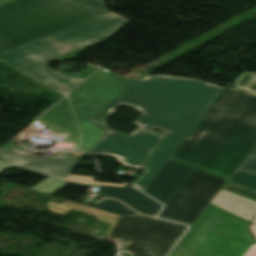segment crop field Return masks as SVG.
Listing matches in <instances>:
<instances>
[{
    "mask_svg": "<svg viewBox=\"0 0 256 256\" xmlns=\"http://www.w3.org/2000/svg\"><path fill=\"white\" fill-rule=\"evenodd\" d=\"M220 89L198 80L159 75L133 79L120 96L88 119L106 132L88 154L114 156L125 166L140 168L162 139L152 129L168 131L142 166L145 171L132 182V186L144 191ZM120 104L142 112L133 122L138 130L129 136L109 128L105 122Z\"/></svg>",
    "mask_w": 256,
    "mask_h": 256,
    "instance_id": "8a807250",
    "label": "crop field"
},
{
    "mask_svg": "<svg viewBox=\"0 0 256 256\" xmlns=\"http://www.w3.org/2000/svg\"><path fill=\"white\" fill-rule=\"evenodd\" d=\"M256 145V95L225 87L170 159L230 178Z\"/></svg>",
    "mask_w": 256,
    "mask_h": 256,
    "instance_id": "ac0d7876",
    "label": "crop field"
},
{
    "mask_svg": "<svg viewBox=\"0 0 256 256\" xmlns=\"http://www.w3.org/2000/svg\"><path fill=\"white\" fill-rule=\"evenodd\" d=\"M102 0H15L0 6V54L106 14Z\"/></svg>",
    "mask_w": 256,
    "mask_h": 256,
    "instance_id": "34b2d1b8",
    "label": "crop field"
},
{
    "mask_svg": "<svg viewBox=\"0 0 256 256\" xmlns=\"http://www.w3.org/2000/svg\"><path fill=\"white\" fill-rule=\"evenodd\" d=\"M126 20L108 13L0 55V60L67 94L82 80L64 78L44 63L105 40Z\"/></svg>",
    "mask_w": 256,
    "mask_h": 256,
    "instance_id": "412701ff",
    "label": "crop field"
},
{
    "mask_svg": "<svg viewBox=\"0 0 256 256\" xmlns=\"http://www.w3.org/2000/svg\"><path fill=\"white\" fill-rule=\"evenodd\" d=\"M128 81L100 69L60 103L40 116L36 125L48 126L52 130L70 134L69 139L79 140L77 149L88 153L105 132L87 119L121 94Z\"/></svg>",
    "mask_w": 256,
    "mask_h": 256,
    "instance_id": "f4fd0767",
    "label": "crop field"
},
{
    "mask_svg": "<svg viewBox=\"0 0 256 256\" xmlns=\"http://www.w3.org/2000/svg\"><path fill=\"white\" fill-rule=\"evenodd\" d=\"M248 223L209 203L168 256H256Z\"/></svg>",
    "mask_w": 256,
    "mask_h": 256,
    "instance_id": "dd49c442",
    "label": "crop field"
},
{
    "mask_svg": "<svg viewBox=\"0 0 256 256\" xmlns=\"http://www.w3.org/2000/svg\"><path fill=\"white\" fill-rule=\"evenodd\" d=\"M106 237L129 241L123 248L137 256H164L187 226L141 215H116Z\"/></svg>",
    "mask_w": 256,
    "mask_h": 256,
    "instance_id": "e52e79f7",
    "label": "crop field"
},
{
    "mask_svg": "<svg viewBox=\"0 0 256 256\" xmlns=\"http://www.w3.org/2000/svg\"><path fill=\"white\" fill-rule=\"evenodd\" d=\"M226 180L195 169L158 217L193 225Z\"/></svg>",
    "mask_w": 256,
    "mask_h": 256,
    "instance_id": "d8731c3e",
    "label": "crop field"
},
{
    "mask_svg": "<svg viewBox=\"0 0 256 256\" xmlns=\"http://www.w3.org/2000/svg\"><path fill=\"white\" fill-rule=\"evenodd\" d=\"M79 158L60 153L48 160L34 159L0 148V162L18 166L65 181Z\"/></svg>",
    "mask_w": 256,
    "mask_h": 256,
    "instance_id": "5a996713",
    "label": "crop field"
},
{
    "mask_svg": "<svg viewBox=\"0 0 256 256\" xmlns=\"http://www.w3.org/2000/svg\"><path fill=\"white\" fill-rule=\"evenodd\" d=\"M193 170L194 168L168 159L144 192L165 205Z\"/></svg>",
    "mask_w": 256,
    "mask_h": 256,
    "instance_id": "3316defc",
    "label": "crop field"
},
{
    "mask_svg": "<svg viewBox=\"0 0 256 256\" xmlns=\"http://www.w3.org/2000/svg\"><path fill=\"white\" fill-rule=\"evenodd\" d=\"M85 186H94L99 187L97 193L102 197L116 198L131 208L137 210L139 213L148 214L154 216L159 209L162 207L159 203L149 199L142 193L138 192L135 189L130 188H118L102 185H92V184H81Z\"/></svg>",
    "mask_w": 256,
    "mask_h": 256,
    "instance_id": "28ad6ade",
    "label": "crop field"
},
{
    "mask_svg": "<svg viewBox=\"0 0 256 256\" xmlns=\"http://www.w3.org/2000/svg\"><path fill=\"white\" fill-rule=\"evenodd\" d=\"M211 203L230 211L248 221L256 213V202L220 190Z\"/></svg>",
    "mask_w": 256,
    "mask_h": 256,
    "instance_id": "d1516ede",
    "label": "crop field"
},
{
    "mask_svg": "<svg viewBox=\"0 0 256 256\" xmlns=\"http://www.w3.org/2000/svg\"><path fill=\"white\" fill-rule=\"evenodd\" d=\"M77 209L92 215L97 216V220L98 221H102V222H106V223H110V221L114 218V214L108 213V212H104L98 209H95L93 207H89V206H85L82 204H78V203H74V202H70V201H65L62 204L59 203H53L50 202L48 203V209L51 212L54 213H58V214H65L67 211H69L70 209Z\"/></svg>",
    "mask_w": 256,
    "mask_h": 256,
    "instance_id": "22f410ed",
    "label": "crop field"
},
{
    "mask_svg": "<svg viewBox=\"0 0 256 256\" xmlns=\"http://www.w3.org/2000/svg\"><path fill=\"white\" fill-rule=\"evenodd\" d=\"M85 204L114 214H137L124 206L122 203L115 200L104 199L103 201L99 200L96 204L90 202H86Z\"/></svg>",
    "mask_w": 256,
    "mask_h": 256,
    "instance_id": "cbeb9de0",
    "label": "crop field"
},
{
    "mask_svg": "<svg viewBox=\"0 0 256 256\" xmlns=\"http://www.w3.org/2000/svg\"><path fill=\"white\" fill-rule=\"evenodd\" d=\"M228 181L256 190V175L236 170Z\"/></svg>",
    "mask_w": 256,
    "mask_h": 256,
    "instance_id": "5142ce71",
    "label": "crop field"
},
{
    "mask_svg": "<svg viewBox=\"0 0 256 256\" xmlns=\"http://www.w3.org/2000/svg\"><path fill=\"white\" fill-rule=\"evenodd\" d=\"M68 182H63L54 178H47L44 181L40 182L39 184L35 185L31 189L39 190L46 193H54L64 185H66ZM49 194V195H50Z\"/></svg>",
    "mask_w": 256,
    "mask_h": 256,
    "instance_id": "d9b57169",
    "label": "crop field"
},
{
    "mask_svg": "<svg viewBox=\"0 0 256 256\" xmlns=\"http://www.w3.org/2000/svg\"><path fill=\"white\" fill-rule=\"evenodd\" d=\"M236 88L256 93V73H244L237 79Z\"/></svg>",
    "mask_w": 256,
    "mask_h": 256,
    "instance_id": "733c2abd",
    "label": "crop field"
},
{
    "mask_svg": "<svg viewBox=\"0 0 256 256\" xmlns=\"http://www.w3.org/2000/svg\"><path fill=\"white\" fill-rule=\"evenodd\" d=\"M222 189L256 201V192L253 190L229 182Z\"/></svg>",
    "mask_w": 256,
    "mask_h": 256,
    "instance_id": "4a817a6b",
    "label": "crop field"
},
{
    "mask_svg": "<svg viewBox=\"0 0 256 256\" xmlns=\"http://www.w3.org/2000/svg\"><path fill=\"white\" fill-rule=\"evenodd\" d=\"M93 180H94V177L70 175L66 181L82 182V183H92V184H103V185L125 187V185L109 184V183H99V182H93Z\"/></svg>",
    "mask_w": 256,
    "mask_h": 256,
    "instance_id": "bc2a9ffb",
    "label": "crop field"
},
{
    "mask_svg": "<svg viewBox=\"0 0 256 256\" xmlns=\"http://www.w3.org/2000/svg\"><path fill=\"white\" fill-rule=\"evenodd\" d=\"M238 170L256 174V165L243 162L241 166L238 168Z\"/></svg>",
    "mask_w": 256,
    "mask_h": 256,
    "instance_id": "214f88e0",
    "label": "crop field"
},
{
    "mask_svg": "<svg viewBox=\"0 0 256 256\" xmlns=\"http://www.w3.org/2000/svg\"><path fill=\"white\" fill-rule=\"evenodd\" d=\"M245 162H249V163H252V164H256V157L249 155V156L247 157V159L245 160Z\"/></svg>",
    "mask_w": 256,
    "mask_h": 256,
    "instance_id": "92a150f3",
    "label": "crop field"
},
{
    "mask_svg": "<svg viewBox=\"0 0 256 256\" xmlns=\"http://www.w3.org/2000/svg\"><path fill=\"white\" fill-rule=\"evenodd\" d=\"M250 230H251V232L253 233V235H254L255 238H256V225L253 224V223H251V225H250Z\"/></svg>",
    "mask_w": 256,
    "mask_h": 256,
    "instance_id": "dafd665d",
    "label": "crop field"
},
{
    "mask_svg": "<svg viewBox=\"0 0 256 256\" xmlns=\"http://www.w3.org/2000/svg\"><path fill=\"white\" fill-rule=\"evenodd\" d=\"M10 165L0 163V172L6 168H8Z\"/></svg>",
    "mask_w": 256,
    "mask_h": 256,
    "instance_id": "00972430",
    "label": "crop field"
},
{
    "mask_svg": "<svg viewBox=\"0 0 256 256\" xmlns=\"http://www.w3.org/2000/svg\"><path fill=\"white\" fill-rule=\"evenodd\" d=\"M10 1H13V0H0V5L5 4V3H8V2H10Z\"/></svg>",
    "mask_w": 256,
    "mask_h": 256,
    "instance_id": "a9b5d70f",
    "label": "crop field"
},
{
    "mask_svg": "<svg viewBox=\"0 0 256 256\" xmlns=\"http://www.w3.org/2000/svg\"><path fill=\"white\" fill-rule=\"evenodd\" d=\"M251 155L256 156V146H255V148L253 149V151L251 152Z\"/></svg>",
    "mask_w": 256,
    "mask_h": 256,
    "instance_id": "4177f3b9",
    "label": "crop field"
},
{
    "mask_svg": "<svg viewBox=\"0 0 256 256\" xmlns=\"http://www.w3.org/2000/svg\"><path fill=\"white\" fill-rule=\"evenodd\" d=\"M107 240H113V241L117 242V240H115V239H109V238H107Z\"/></svg>",
    "mask_w": 256,
    "mask_h": 256,
    "instance_id": "730fd06b",
    "label": "crop field"
},
{
    "mask_svg": "<svg viewBox=\"0 0 256 256\" xmlns=\"http://www.w3.org/2000/svg\"><path fill=\"white\" fill-rule=\"evenodd\" d=\"M253 223H255V224H256V217H255V219L253 220Z\"/></svg>",
    "mask_w": 256,
    "mask_h": 256,
    "instance_id": "eef30255",
    "label": "crop field"
}]
</instances>
